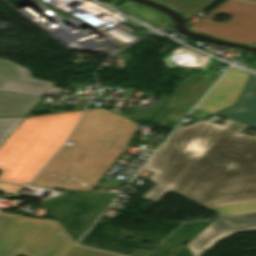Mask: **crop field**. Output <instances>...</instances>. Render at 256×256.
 Returning <instances> with one entry per match:
<instances>
[{
  "mask_svg": "<svg viewBox=\"0 0 256 256\" xmlns=\"http://www.w3.org/2000/svg\"><path fill=\"white\" fill-rule=\"evenodd\" d=\"M74 244L57 221L0 212V256H65Z\"/></svg>",
  "mask_w": 256,
  "mask_h": 256,
  "instance_id": "3",
  "label": "crop field"
},
{
  "mask_svg": "<svg viewBox=\"0 0 256 256\" xmlns=\"http://www.w3.org/2000/svg\"><path fill=\"white\" fill-rule=\"evenodd\" d=\"M248 75L232 67L197 107L217 112L235 104Z\"/></svg>",
  "mask_w": 256,
  "mask_h": 256,
  "instance_id": "9",
  "label": "crop field"
},
{
  "mask_svg": "<svg viewBox=\"0 0 256 256\" xmlns=\"http://www.w3.org/2000/svg\"><path fill=\"white\" fill-rule=\"evenodd\" d=\"M243 1L256 2V0H243Z\"/></svg>",
  "mask_w": 256,
  "mask_h": 256,
  "instance_id": "19",
  "label": "crop field"
},
{
  "mask_svg": "<svg viewBox=\"0 0 256 256\" xmlns=\"http://www.w3.org/2000/svg\"><path fill=\"white\" fill-rule=\"evenodd\" d=\"M139 124L106 111L86 110L63 146L30 185L90 190L121 154Z\"/></svg>",
  "mask_w": 256,
  "mask_h": 256,
  "instance_id": "2",
  "label": "crop field"
},
{
  "mask_svg": "<svg viewBox=\"0 0 256 256\" xmlns=\"http://www.w3.org/2000/svg\"><path fill=\"white\" fill-rule=\"evenodd\" d=\"M23 186L0 182V191L18 194Z\"/></svg>",
  "mask_w": 256,
  "mask_h": 256,
  "instance_id": "17",
  "label": "crop field"
},
{
  "mask_svg": "<svg viewBox=\"0 0 256 256\" xmlns=\"http://www.w3.org/2000/svg\"><path fill=\"white\" fill-rule=\"evenodd\" d=\"M245 128L227 119L178 128L143 168L156 185L140 199L158 203L224 130L173 192L218 215L256 211V137L241 134Z\"/></svg>",
  "mask_w": 256,
  "mask_h": 256,
  "instance_id": "1",
  "label": "crop field"
},
{
  "mask_svg": "<svg viewBox=\"0 0 256 256\" xmlns=\"http://www.w3.org/2000/svg\"><path fill=\"white\" fill-rule=\"evenodd\" d=\"M52 85L53 83L33 79L27 69L0 60V90L43 97Z\"/></svg>",
  "mask_w": 256,
  "mask_h": 256,
  "instance_id": "10",
  "label": "crop field"
},
{
  "mask_svg": "<svg viewBox=\"0 0 256 256\" xmlns=\"http://www.w3.org/2000/svg\"><path fill=\"white\" fill-rule=\"evenodd\" d=\"M209 114H211V113H208V112H205L203 110L195 108L194 111L191 113L190 117L198 119V118H202V117H204L206 115H209Z\"/></svg>",
  "mask_w": 256,
  "mask_h": 256,
  "instance_id": "18",
  "label": "crop field"
},
{
  "mask_svg": "<svg viewBox=\"0 0 256 256\" xmlns=\"http://www.w3.org/2000/svg\"><path fill=\"white\" fill-rule=\"evenodd\" d=\"M78 244L79 245H83V246H87V247H91V248H95V249H99V250H103V251H107V252H111V253L126 255V256H144L145 254H147L149 252L148 250L136 248L130 254H126V253L117 252V251H113V250H109V249H104V248H100V247H95V246H90V245H86V244H81V243H78Z\"/></svg>",
  "mask_w": 256,
  "mask_h": 256,
  "instance_id": "16",
  "label": "crop field"
},
{
  "mask_svg": "<svg viewBox=\"0 0 256 256\" xmlns=\"http://www.w3.org/2000/svg\"><path fill=\"white\" fill-rule=\"evenodd\" d=\"M40 99L0 92V116H27Z\"/></svg>",
  "mask_w": 256,
  "mask_h": 256,
  "instance_id": "12",
  "label": "crop field"
},
{
  "mask_svg": "<svg viewBox=\"0 0 256 256\" xmlns=\"http://www.w3.org/2000/svg\"><path fill=\"white\" fill-rule=\"evenodd\" d=\"M25 118H0V146Z\"/></svg>",
  "mask_w": 256,
  "mask_h": 256,
  "instance_id": "14",
  "label": "crop field"
},
{
  "mask_svg": "<svg viewBox=\"0 0 256 256\" xmlns=\"http://www.w3.org/2000/svg\"><path fill=\"white\" fill-rule=\"evenodd\" d=\"M184 13L189 19L200 13L216 0H159Z\"/></svg>",
  "mask_w": 256,
  "mask_h": 256,
  "instance_id": "13",
  "label": "crop field"
},
{
  "mask_svg": "<svg viewBox=\"0 0 256 256\" xmlns=\"http://www.w3.org/2000/svg\"><path fill=\"white\" fill-rule=\"evenodd\" d=\"M249 231H256V213L218 217L187 245L193 256H201L218 240Z\"/></svg>",
  "mask_w": 256,
  "mask_h": 256,
  "instance_id": "7",
  "label": "crop field"
},
{
  "mask_svg": "<svg viewBox=\"0 0 256 256\" xmlns=\"http://www.w3.org/2000/svg\"><path fill=\"white\" fill-rule=\"evenodd\" d=\"M218 13L229 14L232 17L231 21L213 23L211 20ZM189 29L250 44L256 41V4L228 0Z\"/></svg>",
  "mask_w": 256,
  "mask_h": 256,
  "instance_id": "5",
  "label": "crop field"
},
{
  "mask_svg": "<svg viewBox=\"0 0 256 256\" xmlns=\"http://www.w3.org/2000/svg\"><path fill=\"white\" fill-rule=\"evenodd\" d=\"M53 119V118H52ZM52 119L26 118L0 147V179L28 149Z\"/></svg>",
  "mask_w": 256,
  "mask_h": 256,
  "instance_id": "8",
  "label": "crop field"
},
{
  "mask_svg": "<svg viewBox=\"0 0 256 256\" xmlns=\"http://www.w3.org/2000/svg\"><path fill=\"white\" fill-rule=\"evenodd\" d=\"M81 112L82 110L43 116V119L55 118L1 180L28 184L67 137Z\"/></svg>",
  "mask_w": 256,
  "mask_h": 256,
  "instance_id": "4",
  "label": "crop field"
},
{
  "mask_svg": "<svg viewBox=\"0 0 256 256\" xmlns=\"http://www.w3.org/2000/svg\"><path fill=\"white\" fill-rule=\"evenodd\" d=\"M217 114L256 128V78L251 76L237 106Z\"/></svg>",
  "mask_w": 256,
  "mask_h": 256,
  "instance_id": "11",
  "label": "crop field"
},
{
  "mask_svg": "<svg viewBox=\"0 0 256 256\" xmlns=\"http://www.w3.org/2000/svg\"><path fill=\"white\" fill-rule=\"evenodd\" d=\"M219 67H216L210 74L196 73L190 74L187 79L181 84V86L175 91V93L169 98V100L163 105L160 111L153 118L151 123H156L168 112L186 115L194 104L203 96V94L214 84V82L220 77L221 73L216 72ZM200 75L201 78L197 79ZM168 98L164 97L159 107L153 113L158 111L161 105ZM166 107H168L163 113H161ZM148 120V122L151 120Z\"/></svg>",
  "mask_w": 256,
  "mask_h": 256,
  "instance_id": "6",
  "label": "crop field"
},
{
  "mask_svg": "<svg viewBox=\"0 0 256 256\" xmlns=\"http://www.w3.org/2000/svg\"><path fill=\"white\" fill-rule=\"evenodd\" d=\"M215 141H216V140H215ZM199 160H200V159H199ZM199 160H198V161H199ZM198 161H197V162H198ZM197 162H196V163H197ZM196 163H195V164H196ZM192 168H193V167H192ZM192 168H191V169H192ZM191 169H190V170H191ZM190 170H189V171H190ZM189 171H188V172H189ZM183 178H184V177H183ZM183 178H182V179H183ZM182 179H181V180H182ZM174 188H175V187H174Z\"/></svg>",
  "mask_w": 256,
  "mask_h": 256,
  "instance_id": "20",
  "label": "crop field"
},
{
  "mask_svg": "<svg viewBox=\"0 0 256 256\" xmlns=\"http://www.w3.org/2000/svg\"><path fill=\"white\" fill-rule=\"evenodd\" d=\"M66 256H116L96 250L73 246Z\"/></svg>",
  "mask_w": 256,
  "mask_h": 256,
  "instance_id": "15",
  "label": "crop field"
}]
</instances>
